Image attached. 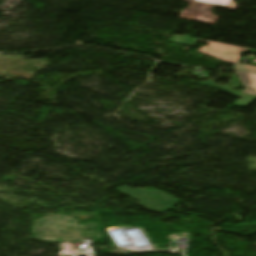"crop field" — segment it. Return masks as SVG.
<instances>
[{
  "instance_id": "ac0d7876",
  "label": "crop field",
  "mask_w": 256,
  "mask_h": 256,
  "mask_svg": "<svg viewBox=\"0 0 256 256\" xmlns=\"http://www.w3.org/2000/svg\"><path fill=\"white\" fill-rule=\"evenodd\" d=\"M197 41L207 44L205 46L200 47L197 50V52H200L215 58H219L234 64H236L241 58L240 56H237V55L241 51L248 50V48L202 41V40L179 36V35L173 36L169 42L194 47Z\"/></svg>"
},
{
  "instance_id": "412701ff",
  "label": "crop field",
  "mask_w": 256,
  "mask_h": 256,
  "mask_svg": "<svg viewBox=\"0 0 256 256\" xmlns=\"http://www.w3.org/2000/svg\"><path fill=\"white\" fill-rule=\"evenodd\" d=\"M237 75L246 87L244 93L256 95V75L245 72H238Z\"/></svg>"
},
{
  "instance_id": "34b2d1b8",
  "label": "crop field",
  "mask_w": 256,
  "mask_h": 256,
  "mask_svg": "<svg viewBox=\"0 0 256 256\" xmlns=\"http://www.w3.org/2000/svg\"><path fill=\"white\" fill-rule=\"evenodd\" d=\"M191 2L189 7L182 11L179 18L202 22L214 25L217 16L211 13V10L216 7H224L235 10L237 4L233 3L234 0H185Z\"/></svg>"
},
{
  "instance_id": "f4fd0767",
  "label": "crop field",
  "mask_w": 256,
  "mask_h": 256,
  "mask_svg": "<svg viewBox=\"0 0 256 256\" xmlns=\"http://www.w3.org/2000/svg\"><path fill=\"white\" fill-rule=\"evenodd\" d=\"M223 91L227 92V93H231L232 95H235V96L243 97V98L239 99L236 103H234L230 106L246 107L249 104H251L253 101L256 100V96H249V95L231 92V91H225V90H223Z\"/></svg>"
},
{
  "instance_id": "8a807250",
  "label": "crop field",
  "mask_w": 256,
  "mask_h": 256,
  "mask_svg": "<svg viewBox=\"0 0 256 256\" xmlns=\"http://www.w3.org/2000/svg\"><path fill=\"white\" fill-rule=\"evenodd\" d=\"M139 202L128 199L129 201L153 212L169 211L179 200L155 189V188H137L130 189L126 186L115 189Z\"/></svg>"
},
{
  "instance_id": "dd49c442",
  "label": "crop field",
  "mask_w": 256,
  "mask_h": 256,
  "mask_svg": "<svg viewBox=\"0 0 256 256\" xmlns=\"http://www.w3.org/2000/svg\"><path fill=\"white\" fill-rule=\"evenodd\" d=\"M235 69H241V70H245V71H250V72H255L256 73V67L255 66H248V65L237 64V66H235Z\"/></svg>"
}]
</instances>
